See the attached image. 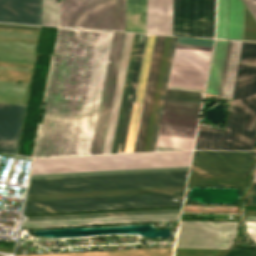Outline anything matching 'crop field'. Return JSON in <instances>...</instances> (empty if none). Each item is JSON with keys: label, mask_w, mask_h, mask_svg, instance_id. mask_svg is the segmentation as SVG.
Returning <instances> with one entry per match:
<instances>
[{"label": "crop field", "mask_w": 256, "mask_h": 256, "mask_svg": "<svg viewBox=\"0 0 256 256\" xmlns=\"http://www.w3.org/2000/svg\"><path fill=\"white\" fill-rule=\"evenodd\" d=\"M249 237L256 244V222H245Z\"/></svg>", "instance_id": "obj_29"}, {"label": "crop field", "mask_w": 256, "mask_h": 256, "mask_svg": "<svg viewBox=\"0 0 256 256\" xmlns=\"http://www.w3.org/2000/svg\"><path fill=\"white\" fill-rule=\"evenodd\" d=\"M188 168L189 167L160 168V169H140V170H120V171H100V172H80V173H60V174H40V175H31L30 178L59 177V176H79V175H99V174H119V173H139V172H159V171H179V170H188Z\"/></svg>", "instance_id": "obj_26"}, {"label": "crop field", "mask_w": 256, "mask_h": 256, "mask_svg": "<svg viewBox=\"0 0 256 256\" xmlns=\"http://www.w3.org/2000/svg\"><path fill=\"white\" fill-rule=\"evenodd\" d=\"M250 203H256V195H251Z\"/></svg>", "instance_id": "obj_32"}, {"label": "crop field", "mask_w": 256, "mask_h": 256, "mask_svg": "<svg viewBox=\"0 0 256 256\" xmlns=\"http://www.w3.org/2000/svg\"><path fill=\"white\" fill-rule=\"evenodd\" d=\"M184 192L26 201L23 214L181 205Z\"/></svg>", "instance_id": "obj_6"}, {"label": "crop field", "mask_w": 256, "mask_h": 256, "mask_svg": "<svg viewBox=\"0 0 256 256\" xmlns=\"http://www.w3.org/2000/svg\"><path fill=\"white\" fill-rule=\"evenodd\" d=\"M250 205H256V204H250Z\"/></svg>", "instance_id": "obj_35"}, {"label": "crop field", "mask_w": 256, "mask_h": 256, "mask_svg": "<svg viewBox=\"0 0 256 256\" xmlns=\"http://www.w3.org/2000/svg\"><path fill=\"white\" fill-rule=\"evenodd\" d=\"M146 0H127L126 31L145 33Z\"/></svg>", "instance_id": "obj_21"}, {"label": "crop field", "mask_w": 256, "mask_h": 256, "mask_svg": "<svg viewBox=\"0 0 256 256\" xmlns=\"http://www.w3.org/2000/svg\"><path fill=\"white\" fill-rule=\"evenodd\" d=\"M251 194H256V183H253L252 193Z\"/></svg>", "instance_id": "obj_33"}, {"label": "crop field", "mask_w": 256, "mask_h": 256, "mask_svg": "<svg viewBox=\"0 0 256 256\" xmlns=\"http://www.w3.org/2000/svg\"><path fill=\"white\" fill-rule=\"evenodd\" d=\"M60 26L125 31V0H61Z\"/></svg>", "instance_id": "obj_7"}, {"label": "crop field", "mask_w": 256, "mask_h": 256, "mask_svg": "<svg viewBox=\"0 0 256 256\" xmlns=\"http://www.w3.org/2000/svg\"><path fill=\"white\" fill-rule=\"evenodd\" d=\"M148 37L149 35H143V34H141L140 36L138 52H137V57H136V62H135V67H134V72L132 77V83H131L129 98H128L127 107L125 111V116L123 120L117 153H119L120 151V146H121L129 104H135L136 102ZM155 38L156 36H151V35L149 37L137 102H136V105H130L129 107V112H128V117H127V122H126V127L124 131L120 153L133 152L134 150L136 135L138 131V126H139V121H140V116H141V111L143 106V100H144V95H145V90H146V85L148 80V74H149V69H150V64H151V59L153 54Z\"/></svg>", "instance_id": "obj_8"}, {"label": "crop field", "mask_w": 256, "mask_h": 256, "mask_svg": "<svg viewBox=\"0 0 256 256\" xmlns=\"http://www.w3.org/2000/svg\"><path fill=\"white\" fill-rule=\"evenodd\" d=\"M180 213L23 222L22 228L178 220Z\"/></svg>", "instance_id": "obj_14"}, {"label": "crop field", "mask_w": 256, "mask_h": 256, "mask_svg": "<svg viewBox=\"0 0 256 256\" xmlns=\"http://www.w3.org/2000/svg\"><path fill=\"white\" fill-rule=\"evenodd\" d=\"M124 35L59 28L34 157L101 154Z\"/></svg>", "instance_id": "obj_1"}, {"label": "crop field", "mask_w": 256, "mask_h": 256, "mask_svg": "<svg viewBox=\"0 0 256 256\" xmlns=\"http://www.w3.org/2000/svg\"><path fill=\"white\" fill-rule=\"evenodd\" d=\"M213 40L178 37L168 88L203 92ZM167 89L163 112L198 116L202 93ZM163 113L156 147L192 149L198 117Z\"/></svg>", "instance_id": "obj_2"}, {"label": "crop field", "mask_w": 256, "mask_h": 256, "mask_svg": "<svg viewBox=\"0 0 256 256\" xmlns=\"http://www.w3.org/2000/svg\"><path fill=\"white\" fill-rule=\"evenodd\" d=\"M175 39H176V37H172V39H171L170 50H169V55H168V60H167V65H166V70H165V76H164V81H163L161 97H160V102H159L157 118H156V123H155V128H154V133H153V138H152V144H151L150 151H154V149H155L159 124H160V119H161V114H162L164 96H165V91H166L167 84H168V78H169L170 67H171V62H172Z\"/></svg>", "instance_id": "obj_25"}, {"label": "crop field", "mask_w": 256, "mask_h": 256, "mask_svg": "<svg viewBox=\"0 0 256 256\" xmlns=\"http://www.w3.org/2000/svg\"><path fill=\"white\" fill-rule=\"evenodd\" d=\"M192 151L34 159L31 174L189 166Z\"/></svg>", "instance_id": "obj_5"}, {"label": "crop field", "mask_w": 256, "mask_h": 256, "mask_svg": "<svg viewBox=\"0 0 256 256\" xmlns=\"http://www.w3.org/2000/svg\"><path fill=\"white\" fill-rule=\"evenodd\" d=\"M139 36H140V34H135V36H134L131 58H130L128 73H127L126 83H125V87H124V92H123V97H122V102H121V107H120V112H119V117H118V122H117V127H116V131H115V136H114V141H113V146H112L111 153H116V151H117L119 135H120L122 120H123L124 111H125V107H126V102H127V98H128V93H129V88H130V83H131V77H132L136 52H137Z\"/></svg>", "instance_id": "obj_22"}, {"label": "crop field", "mask_w": 256, "mask_h": 256, "mask_svg": "<svg viewBox=\"0 0 256 256\" xmlns=\"http://www.w3.org/2000/svg\"><path fill=\"white\" fill-rule=\"evenodd\" d=\"M165 36H157L134 152L142 151Z\"/></svg>", "instance_id": "obj_18"}, {"label": "crop field", "mask_w": 256, "mask_h": 256, "mask_svg": "<svg viewBox=\"0 0 256 256\" xmlns=\"http://www.w3.org/2000/svg\"><path fill=\"white\" fill-rule=\"evenodd\" d=\"M237 224L180 221L175 247L228 249Z\"/></svg>", "instance_id": "obj_10"}, {"label": "crop field", "mask_w": 256, "mask_h": 256, "mask_svg": "<svg viewBox=\"0 0 256 256\" xmlns=\"http://www.w3.org/2000/svg\"><path fill=\"white\" fill-rule=\"evenodd\" d=\"M24 108L0 104V151L15 154Z\"/></svg>", "instance_id": "obj_17"}, {"label": "crop field", "mask_w": 256, "mask_h": 256, "mask_svg": "<svg viewBox=\"0 0 256 256\" xmlns=\"http://www.w3.org/2000/svg\"><path fill=\"white\" fill-rule=\"evenodd\" d=\"M188 171L30 179L27 195L185 186Z\"/></svg>", "instance_id": "obj_4"}, {"label": "crop field", "mask_w": 256, "mask_h": 256, "mask_svg": "<svg viewBox=\"0 0 256 256\" xmlns=\"http://www.w3.org/2000/svg\"><path fill=\"white\" fill-rule=\"evenodd\" d=\"M224 256H256V252L247 251L239 248L233 247L226 255Z\"/></svg>", "instance_id": "obj_28"}, {"label": "crop field", "mask_w": 256, "mask_h": 256, "mask_svg": "<svg viewBox=\"0 0 256 256\" xmlns=\"http://www.w3.org/2000/svg\"><path fill=\"white\" fill-rule=\"evenodd\" d=\"M223 130L199 125L195 149H220Z\"/></svg>", "instance_id": "obj_23"}, {"label": "crop field", "mask_w": 256, "mask_h": 256, "mask_svg": "<svg viewBox=\"0 0 256 256\" xmlns=\"http://www.w3.org/2000/svg\"><path fill=\"white\" fill-rule=\"evenodd\" d=\"M184 189H185V187H175V188L113 190V191H95V192H80V193H65V194L34 195V196H27L26 200L176 192V191H184Z\"/></svg>", "instance_id": "obj_20"}, {"label": "crop field", "mask_w": 256, "mask_h": 256, "mask_svg": "<svg viewBox=\"0 0 256 256\" xmlns=\"http://www.w3.org/2000/svg\"><path fill=\"white\" fill-rule=\"evenodd\" d=\"M133 36L134 34H130V33H126L125 35L122 56H121V61H120V66H119V71H118V76H117V81H116V86H115V91H114L102 154L110 153L111 151V146H112L115 126H116Z\"/></svg>", "instance_id": "obj_16"}, {"label": "crop field", "mask_w": 256, "mask_h": 256, "mask_svg": "<svg viewBox=\"0 0 256 256\" xmlns=\"http://www.w3.org/2000/svg\"><path fill=\"white\" fill-rule=\"evenodd\" d=\"M221 150H252L256 131V43L243 42Z\"/></svg>", "instance_id": "obj_3"}, {"label": "crop field", "mask_w": 256, "mask_h": 256, "mask_svg": "<svg viewBox=\"0 0 256 256\" xmlns=\"http://www.w3.org/2000/svg\"><path fill=\"white\" fill-rule=\"evenodd\" d=\"M42 0H0V22L41 25Z\"/></svg>", "instance_id": "obj_15"}, {"label": "crop field", "mask_w": 256, "mask_h": 256, "mask_svg": "<svg viewBox=\"0 0 256 256\" xmlns=\"http://www.w3.org/2000/svg\"><path fill=\"white\" fill-rule=\"evenodd\" d=\"M243 23L241 0H217L216 38L243 40Z\"/></svg>", "instance_id": "obj_13"}, {"label": "crop field", "mask_w": 256, "mask_h": 256, "mask_svg": "<svg viewBox=\"0 0 256 256\" xmlns=\"http://www.w3.org/2000/svg\"><path fill=\"white\" fill-rule=\"evenodd\" d=\"M172 0H147L146 33L170 34Z\"/></svg>", "instance_id": "obj_19"}, {"label": "crop field", "mask_w": 256, "mask_h": 256, "mask_svg": "<svg viewBox=\"0 0 256 256\" xmlns=\"http://www.w3.org/2000/svg\"><path fill=\"white\" fill-rule=\"evenodd\" d=\"M253 182H256V171H255V176H254V181Z\"/></svg>", "instance_id": "obj_34"}, {"label": "crop field", "mask_w": 256, "mask_h": 256, "mask_svg": "<svg viewBox=\"0 0 256 256\" xmlns=\"http://www.w3.org/2000/svg\"><path fill=\"white\" fill-rule=\"evenodd\" d=\"M244 2L256 18V0H244Z\"/></svg>", "instance_id": "obj_30"}, {"label": "crop field", "mask_w": 256, "mask_h": 256, "mask_svg": "<svg viewBox=\"0 0 256 256\" xmlns=\"http://www.w3.org/2000/svg\"><path fill=\"white\" fill-rule=\"evenodd\" d=\"M172 212H180V209L113 212V213H94V214H75V215H56V216H37V217H28L27 221L86 218V217H103V216H121V215H138V214H155V213H172Z\"/></svg>", "instance_id": "obj_24"}, {"label": "crop field", "mask_w": 256, "mask_h": 256, "mask_svg": "<svg viewBox=\"0 0 256 256\" xmlns=\"http://www.w3.org/2000/svg\"><path fill=\"white\" fill-rule=\"evenodd\" d=\"M215 0H174L172 35L213 38Z\"/></svg>", "instance_id": "obj_9"}, {"label": "crop field", "mask_w": 256, "mask_h": 256, "mask_svg": "<svg viewBox=\"0 0 256 256\" xmlns=\"http://www.w3.org/2000/svg\"><path fill=\"white\" fill-rule=\"evenodd\" d=\"M251 152L194 151L190 172L248 173Z\"/></svg>", "instance_id": "obj_12"}, {"label": "crop field", "mask_w": 256, "mask_h": 256, "mask_svg": "<svg viewBox=\"0 0 256 256\" xmlns=\"http://www.w3.org/2000/svg\"><path fill=\"white\" fill-rule=\"evenodd\" d=\"M9 25H10V24H9ZM9 25H0V26H9ZM9 27H22V26H9ZM9 27H8V28H9ZM22 28H34V27H22ZM22 28H21V29H22ZM34 29H40V28H34ZM34 29H33V30H34Z\"/></svg>", "instance_id": "obj_31"}, {"label": "crop field", "mask_w": 256, "mask_h": 256, "mask_svg": "<svg viewBox=\"0 0 256 256\" xmlns=\"http://www.w3.org/2000/svg\"><path fill=\"white\" fill-rule=\"evenodd\" d=\"M58 0H43L42 25L57 26Z\"/></svg>", "instance_id": "obj_27"}, {"label": "crop field", "mask_w": 256, "mask_h": 256, "mask_svg": "<svg viewBox=\"0 0 256 256\" xmlns=\"http://www.w3.org/2000/svg\"><path fill=\"white\" fill-rule=\"evenodd\" d=\"M241 44L216 40L206 93L230 99Z\"/></svg>", "instance_id": "obj_11"}]
</instances>
